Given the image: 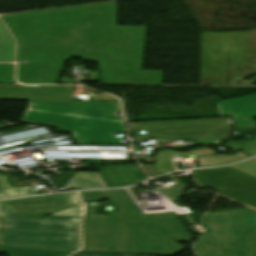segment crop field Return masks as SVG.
<instances>
[{
  "label": "crop field",
  "mask_w": 256,
  "mask_h": 256,
  "mask_svg": "<svg viewBox=\"0 0 256 256\" xmlns=\"http://www.w3.org/2000/svg\"><path fill=\"white\" fill-rule=\"evenodd\" d=\"M116 2L1 17L19 44L18 81L57 83L64 60L100 63L103 81L162 85L141 71L146 27L116 26Z\"/></svg>",
  "instance_id": "obj_1"
},
{
  "label": "crop field",
  "mask_w": 256,
  "mask_h": 256,
  "mask_svg": "<svg viewBox=\"0 0 256 256\" xmlns=\"http://www.w3.org/2000/svg\"><path fill=\"white\" fill-rule=\"evenodd\" d=\"M80 194L85 202L108 198L119 212L96 215L95 207L87 208L83 223L85 251L173 256L185 250L176 242L191 239L173 211L143 214L124 190Z\"/></svg>",
  "instance_id": "obj_2"
},
{
  "label": "crop field",
  "mask_w": 256,
  "mask_h": 256,
  "mask_svg": "<svg viewBox=\"0 0 256 256\" xmlns=\"http://www.w3.org/2000/svg\"><path fill=\"white\" fill-rule=\"evenodd\" d=\"M119 102L30 101L21 122L58 127L57 132L73 133L78 145L122 144L125 137Z\"/></svg>",
  "instance_id": "obj_3"
},
{
  "label": "crop field",
  "mask_w": 256,
  "mask_h": 256,
  "mask_svg": "<svg viewBox=\"0 0 256 256\" xmlns=\"http://www.w3.org/2000/svg\"><path fill=\"white\" fill-rule=\"evenodd\" d=\"M206 232L197 256H256V211L251 209L207 213Z\"/></svg>",
  "instance_id": "obj_4"
},
{
  "label": "crop field",
  "mask_w": 256,
  "mask_h": 256,
  "mask_svg": "<svg viewBox=\"0 0 256 256\" xmlns=\"http://www.w3.org/2000/svg\"><path fill=\"white\" fill-rule=\"evenodd\" d=\"M131 131L147 130L151 137L165 140L228 138L232 131L231 118L209 120L129 123Z\"/></svg>",
  "instance_id": "obj_5"
},
{
  "label": "crop field",
  "mask_w": 256,
  "mask_h": 256,
  "mask_svg": "<svg viewBox=\"0 0 256 256\" xmlns=\"http://www.w3.org/2000/svg\"><path fill=\"white\" fill-rule=\"evenodd\" d=\"M0 246L75 251L80 247V240L79 234L0 229Z\"/></svg>",
  "instance_id": "obj_6"
},
{
  "label": "crop field",
  "mask_w": 256,
  "mask_h": 256,
  "mask_svg": "<svg viewBox=\"0 0 256 256\" xmlns=\"http://www.w3.org/2000/svg\"><path fill=\"white\" fill-rule=\"evenodd\" d=\"M80 217L18 216L0 204V228L79 233Z\"/></svg>",
  "instance_id": "obj_7"
},
{
  "label": "crop field",
  "mask_w": 256,
  "mask_h": 256,
  "mask_svg": "<svg viewBox=\"0 0 256 256\" xmlns=\"http://www.w3.org/2000/svg\"><path fill=\"white\" fill-rule=\"evenodd\" d=\"M74 87L0 86V100L72 101Z\"/></svg>",
  "instance_id": "obj_8"
},
{
  "label": "crop field",
  "mask_w": 256,
  "mask_h": 256,
  "mask_svg": "<svg viewBox=\"0 0 256 256\" xmlns=\"http://www.w3.org/2000/svg\"><path fill=\"white\" fill-rule=\"evenodd\" d=\"M3 206L15 214L43 216L72 206L67 194L46 197L23 198L1 201Z\"/></svg>",
  "instance_id": "obj_9"
},
{
  "label": "crop field",
  "mask_w": 256,
  "mask_h": 256,
  "mask_svg": "<svg viewBox=\"0 0 256 256\" xmlns=\"http://www.w3.org/2000/svg\"><path fill=\"white\" fill-rule=\"evenodd\" d=\"M220 116H233L236 128L256 125V94L217 103Z\"/></svg>",
  "instance_id": "obj_10"
},
{
  "label": "crop field",
  "mask_w": 256,
  "mask_h": 256,
  "mask_svg": "<svg viewBox=\"0 0 256 256\" xmlns=\"http://www.w3.org/2000/svg\"><path fill=\"white\" fill-rule=\"evenodd\" d=\"M66 189L107 188L97 173L77 172L65 185Z\"/></svg>",
  "instance_id": "obj_11"
},
{
  "label": "crop field",
  "mask_w": 256,
  "mask_h": 256,
  "mask_svg": "<svg viewBox=\"0 0 256 256\" xmlns=\"http://www.w3.org/2000/svg\"><path fill=\"white\" fill-rule=\"evenodd\" d=\"M9 256H67L72 252L41 251L39 249L1 247Z\"/></svg>",
  "instance_id": "obj_12"
},
{
  "label": "crop field",
  "mask_w": 256,
  "mask_h": 256,
  "mask_svg": "<svg viewBox=\"0 0 256 256\" xmlns=\"http://www.w3.org/2000/svg\"><path fill=\"white\" fill-rule=\"evenodd\" d=\"M10 186L6 176L0 174V198L35 194L33 187L11 188Z\"/></svg>",
  "instance_id": "obj_13"
},
{
  "label": "crop field",
  "mask_w": 256,
  "mask_h": 256,
  "mask_svg": "<svg viewBox=\"0 0 256 256\" xmlns=\"http://www.w3.org/2000/svg\"><path fill=\"white\" fill-rule=\"evenodd\" d=\"M14 42L7 32H0V62H12Z\"/></svg>",
  "instance_id": "obj_14"
},
{
  "label": "crop field",
  "mask_w": 256,
  "mask_h": 256,
  "mask_svg": "<svg viewBox=\"0 0 256 256\" xmlns=\"http://www.w3.org/2000/svg\"><path fill=\"white\" fill-rule=\"evenodd\" d=\"M0 83H14L13 65L0 64Z\"/></svg>",
  "instance_id": "obj_15"
},
{
  "label": "crop field",
  "mask_w": 256,
  "mask_h": 256,
  "mask_svg": "<svg viewBox=\"0 0 256 256\" xmlns=\"http://www.w3.org/2000/svg\"><path fill=\"white\" fill-rule=\"evenodd\" d=\"M81 215H82V212L79 209V207H71L69 209H66L64 211H61L51 216H81Z\"/></svg>",
  "instance_id": "obj_16"
},
{
  "label": "crop field",
  "mask_w": 256,
  "mask_h": 256,
  "mask_svg": "<svg viewBox=\"0 0 256 256\" xmlns=\"http://www.w3.org/2000/svg\"><path fill=\"white\" fill-rule=\"evenodd\" d=\"M68 195H69L73 205H76V204L80 203V200H79L78 196L75 193L68 194Z\"/></svg>",
  "instance_id": "obj_17"
},
{
  "label": "crop field",
  "mask_w": 256,
  "mask_h": 256,
  "mask_svg": "<svg viewBox=\"0 0 256 256\" xmlns=\"http://www.w3.org/2000/svg\"><path fill=\"white\" fill-rule=\"evenodd\" d=\"M73 256H115V255H105V254H82L76 253Z\"/></svg>",
  "instance_id": "obj_18"
},
{
  "label": "crop field",
  "mask_w": 256,
  "mask_h": 256,
  "mask_svg": "<svg viewBox=\"0 0 256 256\" xmlns=\"http://www.w3.org/2000/svg\"><path fill=\"white\" fill-rule=\"evenodd\" d=\"M1 24H0V31H6L5 28Z\"/></svg>",
  "instance_id": "obj_19"
},
{
  "label": "crop field",
  "mask_w": 256,
  "mask_h": 256,
  "mask_svg": "<svg viewBox=\"0 0 256 256\" xmlns=\"http://www.w3.org/2000/svg\"><path fill=\"white\" fill-rule=\"evenodd\" d=\"M116 256H126V255H116Z\"/></svg>",
  "instance_id": "obj_20"
},
{
  "label": "crop field",
  "mask_w": 256,
  "mask_h": 256,
  "mask_svg": "<svg viewBox=\"0 0 256 256\" xmlns=\"http://www.w3.org/2000/svg\"><path fill=\"white\" fill-rule=\"evenodd\" d=\"M256 31V30H255ZM252 35V31H250V36Z\"/></svg>",
  "instance_id": "obj_21"
},
{
  "label": "crop field",
  "mask_w": 256,
  "mask_h": 256,
  "mask_svg": "<svg viewBox=\"0 0 256 256\" xmlns=\"http://www.w3.org/2000/svg\"><path fill=\"white\" fill-rule=\"evenodd\" d=\"M3 251L0 249V253H2Z\"/></svg>",
  "instance_id": "obj_22"
}]
</instances>
